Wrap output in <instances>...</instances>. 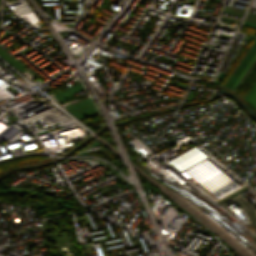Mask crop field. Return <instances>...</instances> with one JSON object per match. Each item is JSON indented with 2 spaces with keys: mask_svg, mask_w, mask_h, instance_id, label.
<instances>
[{
  "mask_svg": "<svg viewBox=\"0 0 256 256\" xmlns=\"http://www.w3.org/2000/svg\"><path fill=\"white\" fill-rule=\"evenodd\" d=\"M244 99L248 101L254 108H256V85L251 89Z\"/></svg>",
  "mask_w": 256,
  "mask_h": 256,
  "instance_id": "obj_1",
  "label": "crop field"
},
{
  "mask_svg": "<svg viewBox=\"0 0 256 256\" xmlns=\"http://www.w3.org/2000/svg\"><path fill=\"white\" fill-rule=\"evenodd\" d=\"M256 58V54L253 56V58L250 60V62L247 64V66L244 68V70L241 72V74L239 75V77L237 78V80L235 81V83L232 85V87L230 88L231 90L235 87L236 83L241 79V77L244 75L245 71L247 70V68L250 66V64L253 62V60Z\"/></svg>",
  "mask_w": 256,
  "mask_h": 256,
  "instance_id": "obj_2",
  "label": "crop field"
}]
</instances>
